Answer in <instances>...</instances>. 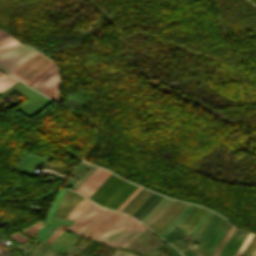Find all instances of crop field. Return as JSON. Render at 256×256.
I'll return each instance as SVG.
<instances>
[{"instance_id":"8a807250","label":"crop field","mask_w":256,"mask_h":256,"mask_svg":"<svg viewBox=\"0 0 256 256\" xmlns=\"http://www.w3.org/2000/svg\"><path fill=\"white\" fill-rule=\"evenodd\" d=\"M133 218L106 209L79 233L97 241H104L110 247H124L143 230Z\"/></svg>"},{"instance_id":"ac0d7876","label":"crop field","mask_w":256,"mask_h":256,"mask_svg":"<svg viewBox=\"0 0 256 256\" xmlns=\"http://www.w3.org/2000/svg\"><path fill=\"white\" fill-rule=\"evenodd\" d=\"M137 188L112 174L89 199L116 210Z\"/></svg>"},{"instance_id":"34b2d1b8","label":"crop field","mask_w":256,"mask_h":256,"mask_svg":"<svg viewBox=\"0 0 256 256\" xmlns=\"http://www.w3.org/2000/svg\"><path fill=\"white\" fill-rule=\"evenodd\" d=\"M217 217H218V215H214V217L211 219V221L208 223V225L203 229V231L200 233V235L198 236V238L196 239V242H199V241H201V239L203 238V236L206 234V232L208 231V229L211 227V225L214 223V221L217 219ZM223 219L224 218H222V217H220L219 216V218L216 220V222L213 224V226L210 228V230L207 232V234L205 235V237L202 239V241L200 242L201 244L198 246V248H197V245H195V246H193L192 248H190L188 251H186L185 253H183L184 254V256L185 255H187L188 253H190L192 250H194L195 248H197V249H195L194 251H192L190 254H188L187 256H193L194 254H196L199 250H201L204 246H205V244L207 243V241L209 240V238L212 236V234L214 233V231L217 229V227L220 225V223L223 221ZM225 220V219H224ZM227 222L228 221H226L225 220V222L222 224V226L219 228V230L216 232V234L213 236V238L210 240V242L208 243V245H207V248H206V246L200 251V252H198L195 256H203V255H205L207 252H208V250H209V248H210V246H211V244H212V242L214 241V239L216 238V236L220 233V231L224 228V226L227 224ZM231 223H229L228 222V224L225 226V228L221 231V233L217 236V238L215 239V241L213 242V244H212V247H211V249H210V253L212 252V250H213V248H214V246H215V244L217 243V241L220 239V237L222 236V234L225 232V230L229 227V225H230ZM205 248H206V250H205ZM207 251V252H205V251ZM211 254H209V253H207L205 256H210Z\"/></svg>"},{"instance_id":"412701ff","label":"crop field","mask_w":256,"mask_h":256,"mask_svg":"<svg viewBox=\"0 0 256 256\" xmlns=\"http://www.w3.org/2000/svg\"><path fill=\"white\" fill-rule=\"evenodd\" d=\"M37 51L20 43L0 53V69L10 73Z\"/></svg>"},{"instance_id":"f4fd0767","label":"crop field","mask_w":256,"mask_h":256,"mask_svg":"<svg viewBox=\"0 0 256 256\" xmlns=\"http://www.w3.org/2000/svg\"><path fill=\"white\" fill-rule=\"evenodd\" d=\"M111 174L97 167L76 191L88 198Z\"/></svg>"},{"instance_id":"dd49c442","label":"crop field","mask_w":256,"mask_h":256,"mask_svg":"<svg viewBox=\"0 0 256 256\" xmlns=\"http://www.w3.org/2000/svg\"><path fill=\"white\" fill-rule=\"evenodd\" d=\"M244 230V229H243ZM241 229H237V231L234 233V235L231 237L229 242L224 247L223 251L221 252L220 256H228L234 248L238 245L240 239L242 238L245 231ZM248 234V231L245 232L243 238L241 239L239 245L235 248V250L229 255L233 256V254L238 250V248L242 245L243 241L245 240L246 236ZM256 246V234H254L253 238L251 239L250 243L246 247V249L243 251V253L240 256H248L251 251Z\"/></svg>"},{"instance_id":"e52e79f7","label":"crop field","mask_w":256,"mask_h":256,"mask_svg":"<svg viewBox=\"0 0 256 256\" xmlns=\"http://www.w3.org/2000/svg\"><path fill=\"white\" fill-rule=\"evenodd\" d=\"M104 208H100L95 204H91L85 210H83L78 216L74 218L76 220L71 227H69L66 231L78 234L80 230L92 219H94L97 215H99Z\"/></svg>"},{"instance_id":"d8731c3e","label":"crop field","mask_w":256,"mask_h":256,"mask_svg":"<svg viewBox=\"0 0 256 256\" xmlns=\"http://www.w3.org/2000/svg\"><path fill=\"white\" fill-rule=\"evenodd\" d=\"M177 203H178L177 201L173 202L170 208L167 211H165L155 222H153L148 227L153 230L158 224H160L166 218V216L173 210V208L177 205ZM182 205H183V202H179L178 205L175 207V209L167 216V218L159 226H157L153 231L156 232L160 230L179 211ZM185 206H186V203H184L181 210L159 232H157V234H159L162 230H164L181 213V211L184 209Z\"/></svg>"},{"instance_id":"5a996713","label":"crop field","mask_w":256,"mask_h":256,"mask_svg":"<svg viewBox=\"0 0 256 256\" xmlns=\"http://www.w3.org/2000/svg\"><path fill=\"white\" fill-rule=\"evenodd\" d=\"M72 193H73V192H71V191L65 190V192H64V194H63V196H62V198H61V201H60V203H59V205H58V207H57V209H56V211H55V213H54L53 216L58 217V218L61 217V215H62V213H63V211H64V209H65V207H66V205H67V203H68V201H69L71 195H72ZM75 194H76V193H73V195H72V197H71V199H70V201H69V203H68V205H67V207H66V209H65V211H64V213H63V215H62V217H61L62 219L64 218V216H65V214H66V212H67V210H68V208H69V206H70V204H71V202H72V200H73ZM78 196H79V195L76 194V196H75V198H74V200H73V202H72V204H71V206H70V208H69L67 214H69L70 210L73 208V206H74V204H75V202H76ZM79 198H80V196H79ZM79 198H78V200H79ZM83 199H84V198L81 196L79 202H80L81 200H83ZM78 200H77V202H78ZM77 202H76V204H77ZM79 202H78V203H79ZM67 214H66V216H67ZM66 216H65V218H66ZM65 218H64V219H65Z\"/></svg>"},{"instance_id":"3316defc","label":"crop field","mask_w":256,"mask_h":256,"mask_svg":"<svg viewBox=\"0 0 256 256\" xmlns=\"http://www.w3.org/2000/svg\"><path fill=\"white\" fill-rule=\"evenodd\" d=\"M174 200H170L166 197H163L154 207L153 209L140 221L145 225L151 224L155 221L173 202Z\"/></svg>"},{"instance_id":"28ad6ade","label":"crop field","mask_w":256,"mask_h":256,"mask_svg":"<svg viewBox=\"0 0 256 256\" xmlns=\"http://www.w3.org/2000/svg\"><path fill=\"white\" fill-rule=\"evenodd\" d=\"M58 76H59V69H58L57 65L55 64L42 77H40L31 87L42 92Z\"/></svg>"},{"instance_id":"d1516ede","label":"crop field","mask_w":256,"mask_h":256,"mask_svg":"<svg viewBox=\"0 0 256 256\" xmlns=\"http://www.w3.org/2000/svg\"><path fill=\"white\" fill-rule=\"evenodd\" d=\"M200 207H198L197 208V210L194 212V214L190 217V219L188 220V222H190L196 215H197V213L200 211ZM208 210H206V209H204V208H202V210L199 212V214L188 224V222H186L185 223V225L180 229V230H184V228L187 226V224H188V226L185 228V230L183 231V232H185L186 233V235L184 236V238L186 237V236H188L189 235V233H190V231L192 230V229H194L195 228V226L199 223V221L202 219V217L206 214V212H207ZM183 238V239H184ZM182 239V240H183Z\"/></svg>"},{"instance_id":"22f410ed","label":"crop field","mask_w":256,"mask_h":256,"mask_svg":"<svg viewBox=\"0 0 256 256\" xmlns=\"http://www.w3.org/2000/svg\"><path fill=\"white\" fill-rule=\"evenodd\" d=\"M236 230V227H234L232 224L231 226L228 228V230L226 231V233L224 234V236L222 237V239L219 241L218 245L216 246V248L214 249L213 253L211 256H218L221 249L225 246V244L228 242V240L230 239V237L232 236V234L234 233V231Z\"/></svg>"},{"instance_id":"cbeb9de0","label":"crop field","mask_w":256,"mask_h":256,"mask_svg":"<svg viewBox=\"0 0 256 256\" xmlns=\"http://www.w3.org/2000/svg\"><path fill=\"white\" fill-rule=\"evenodd\" d=\"M60 78H58L55 82H53L46 90L42 93L47 96L53 98L54 100L60 102V97L58 95V86H59Z\"/></svg>"},{"instance_id":"5142ce71","label":"crop field","mask_w":256,"mask_h":256,"mask_svg":"<svg viewBox=\"0 0 256 256\" xmlns=\"http://www.w3.org/2000/svg\"><path fill=\"white\" fill-rule=\"evenodd\" d=\"M87 199H84L81 203H79L74 209L70 212L69 216L67 219H72L74 218L80 211H82L84 208H86L89 204H91Z\"/></svg>"},{"instance_id":"d9b57169","label":"crop field","mask_w":256,"mask_h":256,"mask_svg":"<svg viewBox=\"0 0 256 256\" xmlns=\"http://www.w3.org/2000/svg\"><path fill=\"white\" fill-rule=\"evenodd\" d=\"M17 80L9 75L8 76L5 74L1 75L0 76V92L5 88L9 87L10 85H12L13 83H15Z\"/></svg>"},{"instance_id":"733c2abd","label":"crop field","mask_w":256,"mask_h":256,"mask_svg":"<svg viewBox=\"0 0 256 256\" xmlns=\"http://www.w3.org/2000/svg\"><path fill=\"white\" fill-rule=\"evenodd\" d=\"M19 43L13 37H9L0 41V52L4 51L5 49Z\"/></svg>"},{"instance_id":"4a817a6b","label":"crop field","mask_w":256,"mask_h":256,"mask_svg":"<svg viewBox=\"0 0 256 256\" xmlns=\"http://www.w3.org/2000/svg\"><path fill=\"white\" fill-rule=\"evenodd\" d=\"M43 222L41 221H38L36 224L26 228V229H23L22 232L29 236V237H32L33 234L42 226Z\"/></svg>"},{"instance_id":"bc2a9ffb","label":"crop field","mask_w":256,"mask_h":256,"mask_svg":"<svg viewBox=\"0 0 256 256\" xmlns=\"http://www.w3.org/2000/svg\"><path fill=\"white\" fill-rule=\"evenodd\" d=\"M68 228V226H62V225H59L58 228L55 230V232L46 240V242H48L49 244L54 241L58 236L59 234L64 230Z\"/></svg>"},{"instance_id":"214f88e0","label":"crop field","mask_w":256,"mask_h":256,"mask_svg":"<svg viewBox=\"0 0 256 256\" xmlns=\"http://www.w3.org/2000/svg\"><path fill=\"white\" fill-rule=\"evenodd\" d=\"M95 168L92 166L71 188L75 190Z\"/></svg>"},{"instance_id":"92a150f3","label":"crop field","mask_w":256,"mask_h":256,"mask_svg":"<svg viewBox=\"0 0 256 256\" xmlns=\"http://www.w3.org/2000/svg\"><path fill=\"white\" fill-rule=\"evenodd\" d=\"M9 237L21 242V243H24L26 242L27 240H29V238L25 237V236H22L20 233H15V234H11L9 235ZM18 242V243H19Z\"/></svg>"},{"instance_id":"dafd665d","label":"crop field","mask_w":256,"mask_h":256,"mask_svg":"<svg viewBox=\"0 0 256 256\" xmlns=\"http://www.w3.org/2000/svg\"><path fill=\"white\" fill-rule=\"evenodd\" d=\"M174 245L177 249L180 248L181 246L185 245L182 241H177L176 243L172 244ZM189 247H187L186 245L183 246L182 248L178 249L181 253L184 252L186 249H188Z\"/></svg>"},{"instance_id":"00972430","label":"crop field","mask_w":256,"mask_h":256,"mask_svg":"<svg viewBox=\"0 0 256 256\" xmlns=\"http://www.w3.org/2000/svg\"><path fill=\"white\" fill-rule=\"evenodd\" d=\"M148 192V190H146L126 211L125 213H129L132 208L143 198V196Z\"/></svg>"},{"instance_id":"a9b5d70f","label":"crop field","mask_w":256,"mask_h":256,"mask_svg":"<svg viewBox=\"0 0 256 256\" xmlns=\"http://www.w3.org/2000/svg\"><path fill=\"white\" fill-rule=\"evenodd\" d=\"M55 63H51L48 67H46L35 79H33L28 85H32L40 76H42L50 67H52Z\"/></svg>"},{"instance_id":"4177f3b9","label":"crop field","mask_w":256,"mask_h":256,"mask_svg":"<svg viewBox=\"0 0 256 256\" xmlns=\"http://www.w3.org/2000/svg\"><path fill=\"white\" fill-rule=\"evenodd\" d=\"M140 189L141 187H139L117 210L120 211Z\"/></svg>"},{"instance_id":"730fd06b","label":"crop field","mask_w":256,"mask_h":256,"mask_svg":"<svg viewBox=\"0 0 256 256\" xmlns=\"http://www.w3.org/2000/svg\"><path fill=\"white\" fill-rule=\"evenodd\" d=\"M196 208L197 206H195L194 209L190 212V214L179 224V229L189 219V217L192 215Z\"/></svg>"},{"instance_id":"eef30255","label":"crop field","mask_w":256,"mask_h":256,"mask_svg":"<svg viewBox=\"0 0 256 256\" xmlns=\"http://www.w3.org/2000/svg\"><path fill=\"white\" fill-rule=\"evenodd\" d=\"M113 256H133L132 254H128L127 252L118 251Z\"/></svg>"},{"instance_id":"ae1a2a85","label":"crop field","mask_w":256,"mask_h":256,"mask_svg":"<svg viewBox=\"0 0 256 256\" xmlns=\"http://www.w3.org/2000/svg\"><path fill=\"white\" fill-rule=\"evenodd\" d=\"M165 248L167 251H169L173 256H179L173 249H171L168 245L163 247Z\"/></svg>"},{"instance_id":"d3111659","label":"crop field","mask_w":256,"mask_h":256,"mask_svg":"<svg viewBox=\"0 0 256 256\" xmlns=\"http://www.w3.org/2000/svg\"><path fill=\"white\" fill-rule=\"evenodd\" d=\"M215 213L212 212V214L209 216V218L206 220V222L204 223V225L202 226V228L200 229V232L201 230L206 226V224L210 221V219L213 217Z\"/></svg>"},{"instance_id":"750c4746","label":"crop field","mask_w":256,"mask_h":256,"mask_svg":"<svg viewBox=\"0 0 256 256\" xmlns=\"http://www.w3.org/2000/svg\"><path fill=\"white\" fill-rule=\"evenodd\" d=\"M6 36H8V34L6 32H4V33L0 34V39L4 38Z\"/></svg>"},{"instance_id":"bd1437ed","label":"crop field","mask_w":256,"mask_h":256,"mask_svg":"<svg viewBox=\"0 0 256 256\" xmlns=\"http://www.w3.org/2000/svg\"><path fill=\"white\" fill-rule=\"evenodd\" d=\"M155 256H166V255L161 253V252H159V253L155 254Z\"/></svg>"},{"instance_id":"1d83c4d3","label":"crop field","mask_w":256,"mask_h":256,"mask_svg":"<svg viewBox=\"0 0 256 256\" xmlns=\"http://www.w3.org/2000/svg\"><path fill=\"white\" fill-rule=\"evenodd\" d=\"M255 250H256V248H255ZM255 250H254V251H255ZM254 251H253V253H254ZM253 253H252V254H253ZM252 254H251V255H252ZM251 255H250V256H251ZM255 255H256V253H255L253 256H255Z\"/></svg>"},{"instance_id":"120bbe31","label":"crop field","mask_w":256,"mask_h":256,"mask_svg":"<svg viewBox=\"0 0 256 256\" xmlns=\"http://www.w3.org/2000/svg\"><path fill=\"white\" fill-rule=\"evenodd\" d=\"M3 32V31H0V33Z\"/></svg>"},{"instance_id":"d32e631a","label":"crop field","mask_w":256,"mask_h":256,"mask_svg":"<svg viewBox=\"0 0 256 256\" xmlns=\"http://www.w3.org/2000/svg\"><path fill=\"white\" fill-rule=\"evenodd\" d=\"M2 73H0V75H1Z\"/></svg>"}]
</instances>
